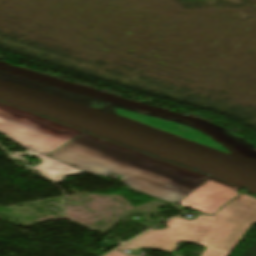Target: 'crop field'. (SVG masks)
I'll return each mask as SVG.
<instances>
[{
  "label": "crop field",
  "mask_w": 256,
  "mask_h": 256,
  "mask_svg": "<svg viewBox=\"0 0 256 256\" xmlns=\"http://www.w3.org/2000/svg\"><path fill=\"white\" fill-rule=\"evenodd\" d=\"M82 132L0 102V133L21 147L37 153L34 157L43 160V162L32 169L57 183L63 182L62 178L81 174L82 172L46 155L71 141Z\"/></svg>",
  "instance_id": "34b2d1b8"
},
{
  "label": "crop field",
  "mask_w": 256,
  "mask_h": 256,
  "mask_svg": "<svg viewBox=\"0 0 256 256\" xmlns=\"http://www.w3.org/2000/svg\"><path fill=\"white\" fill-rule=\"evenodd\" d=\"M202 256H227V254L206 248Z\"/></svg>",
  "instance_id": "e52e79f7"
},
{
  "label": "crop field",
  "mask_w": 256,
  "mask_h": 256,
  "mask_svg": "<svg viewBox=\"0 0 256 256\" xmlns=\"http://www.w3.org/2000/svg\"><path fill=\"white\" fill-rule=\"evenodd\" d=\"M106 256H129V255H127L125 253H122L120 251H114V252H112V253H110V254H108Z\"/></svg>",
  "instance_id": "d8731c3e"
},
{
  "label": "crop field",
  "mask_w": 256,
  "mask_h": 256,
  "mask_svg": "<svg viewBox=\"0 0 256 256\" xmlns=\"http://www.w3.org/2000/svg\"><path fill=\"white\" fill-rule=\"evenodd\" d=\"M100 110L115 112L119 115L138 121L150 127L164 130L184 139L209 146L225 153H229L224 148H222L200 132L181 123L109 104L100 108Z\"/></svg>",
  "instance_id": "412701ff"
},
{
  "label": "crop field",
  "mask_w": 256,
  "mask_h": 256,
  "mask_svg": "<svg viewBox=\"0 0 256 256\" xmlns=\"http://www.w3.org/2000/svg\"><path fill=\"white\" fill-rule=\"evenodd\" d=\"M236 190L238 189L211 177L179 204L206 214H212L222 204L238 195Z\"/></svg>",
  "instance_id": "f4fd0767"
},
{
  "label": "crop field",
  "mask_w": 256,
  "mask_h": 256,
  "mask_svg": "<svg viewBox=\"0 0 256 256\" xmlns=\"http://www.w3.org/2000/svg\"><path fill=\"white\" fill-rule=\"evenodd\" d=\"M24 154L33 156L35 153L27 150ZM10 155L12 156L13 159L23 162L25 167H29V168L33 167V166L25 165L28 161L21 158L23 155H21L20 152H12L10 153Z\"/></svg>",
  "instance_id": "dd49c442"
},
{
  "label": "crop field",
  "mask_w": 256,
  "mask_h": 256,
  "mask_svg": "<svg viewBox=\"0 0 256 256\" xmlns=\"http://www.w3.org/2000/svg\"><path fill=\"white\" fill-rule=\"evenodd\" d=\"M256 222V200L241 195L225 205L214 216L198 215L197 220L174 218L168 228L150 232L122 246L129 248H154L166 252L178 250L177 243L185 241L229 253Z\"/></svg>",
  "instance_id": "ac0d7876"
},
{
  "label": "crop field",
  "mask_w": 256,
  "mask_h": 256,
  "mask_svg": "<svg viewBox=\"0 0 256 256\" xmlns=\"http://www.w3.org/2000/svg\"><path fill=\"white\" fill-rule=\"evenodd\" d=\"M48 156L82 172L120 175L130 188L174 203L210 178L86 132Z\"/></svg>",
  "instance_id": "8a807250"
}]
</instances>
